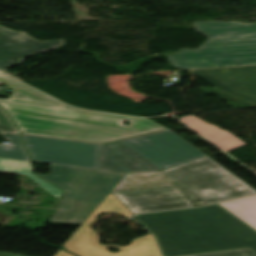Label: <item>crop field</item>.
<instances>
[{
  "label": "crop field",
  "mask_w": 256,
  "mask_h": 256,
  "mask_svg": "<svg viewBox=\"0 0 256 256\" xmlns=\"http://www.w3.org/2000/svg\"><path fill=\"white\" fill-rule=\"evenodd\" d=\"M180 120L226 152L245 145L229 132L221 130L214 125H209L194 116L180 118Z\"/></svg>",
  "instance_id": "obj_12"
},
{
  "label": "crop field",
  "mask_w": 256,
  "mask_h": 256,
  "mask_svg": "<svg viewBox=\"0 0 256 256\" xmlns=\"http://www.w3.org/2000/svg\"><path fill=\"white\" fill-rule=\"evenodd\" d=\"M63 45V40L40 42L24 33L0 27V70L5 71L24 62L25 58Z\"/></svg>",
  "instance_id": "obj_10"
},
{
  "label": "crop field",
  "mask_w": 256,
  "mask_h": 256,
  "mask_svg": "<svg viewBox=\"0 0 256 256\" xmlns=\"http://www.w3.org/2000/svg\"><path fill=\"white\" fill-rule=\"evenodd\" d=\"M0 256H22V255H15V254H8L0 252Z\"/></svg>",
  "instance_id": "obj_19"
},
{
  "label": "crop field",
  "mask_w": 256,
  "mask_h": 256,
  "mask_svg": "<svg viewBox=\"0 0 256 256\" xmlns=\"http://www.w3.org/2000/svg\"><path fill=\"white\" fill-rule=\"evenodd\" d=\"M54 256H73L65 251H63L61 248L58 250V252Z\"/></svg>",
  "instance_id": "obj_18"
},
{
  "label": "crop field",
  "mask_w": 256,
  "mask_h": 256,
  "mask_svg": "<svg viewBox=\"0 0 256 256\" xmlns=\"http://www.w3.org/2000/svg\"><path fill=\"white\" fill-rule=\"evenodd\" d=\"M98 169L123 172L160 170L120 141L102 145Z\"/></svg>",
  "instance_id": "obj_11"
},
{
  "label": "crop field",
  "mask_w": 256,
  "mask_h": 256,
  "mask_svg": "<svg viewBox=\"0 0 256 256\" xmlns=\"http://www.w3.org/2000/svg\"><path fill=\"white\" fill-rule=\"evenodd\" d=\"M0 82L14 89L0 106L12 117L21 134L104 143L167 128L148 119L73 110L0 73ZM129 121L130 125H123Z\"/></svg>",
  "instance_id": "obj_1"
},
{
  "label": "crop field",
  "mask_w": 256,
  "mask_h": 256,
  "mask_svg": "<svg viewBox=\"0 0 256 256\" xmlns=\"http://www.w3.org/2000/svg\"><path fill=\"white\" fill-rule=\"evenodd\" d=\"M22 137L33 161L98 167L101 145L26 135Z\"/></svg>",
  "instance_id": "obj_8"
},
{
  "label": "crop field",
  "mask_w": 256,
  "mask_h": 256,
  "mask_svg": "<svg viewBox=\"0 0 256 256\" xmlns=\"http://www.w3.org/2000/svg\"><path fill=\"white\" fill-rule=\"evenodd\" d=\"M10 142V145L0 144V157L30 161V158L22 144L20 135L1 133Z\"/></svg>",
  "instance_id": "obj_15"
},
{
  "label": "crop field",
  "mask_w": 256,
  "mask_h": 256,
  "mask_svg": "<svg viewBox=\"0 0 256 256\" xmlns=\"http://www.w3.org/2000/svg\"><path fill=\"white\" fill-rule=\"evenodd\" d=\"M126 174L51 164V175H38L66 194L50 222L82 224Z\"/></svg>",
  "instance_id": "obj_5"
},
{
  "label": "crop field",
  "mask_w": 256,
  "mask_h": 256,
  "mask_svg": "<svg viewBox=\"0 0 256 256\" xmlns=\"http://www.w3.org/2000/svg\"><path fill=\"white\" fill-rule=\"evenodd\" d=\"M191 256H256V253H254L250 249H243V250L225 251V252L199 254V255H191Z\"/></svg>",
  "instance_id": "obj_16"
},
{
  "label": "crop field",
  "mask_w": 256,
  "mask_h": 256,
  "mask_svg": "<svg viewBox=\"0 0 256 256\" xmlns=\"http://www.w3.org/2000/svg\"><path fill=\"white\" fill-rule=\"evenodd\" d=\"M122 142L161 170L206 156L171 130Z\"/></svg>",
  "instance_id": "obj_7"
},
{
  "label": "crop field",
  "mask_w": 256,
  "mask_h": 256,
  "mask_svg": "<svg viewBox=\"0 0 256 256\" xmlns=\"http://www.w3.org/2000/svg\"><path fill=\"white\" fill-rule=\"evenodd\" d=\"M103 212H114L125 218H129L131 215L110 192L79 229L65 242L63 247L78 256H160L150 233L147 236L134 239L130 245L125 247L100 245L99 234L92 230L91 226L96 223V217ZM108 246H113L120 252L112 253L107 250Z\"/></svg>",
  "instance_id": "obj_6"
},
{
  "label": "crop field",
  "mask_w": 256,
  "mask_h": 256,
  "mask_svg": "<svg viewBox=\"0 0 256 256\" xmlns=\"http://www.w3.org/2000/svg\"><path fill=\"white\" fill-rule=\"evenodd\" d=\"M196 31L210 39L199 49L180 50L167 56L180 69L256 63V24L195 22Z\"/></svg>",
  "instance_id": "obj_4"
},
{
  "label": "crop field",
  "mask_w": 256,
  "mask_h": 256,
  "mask_svg": "<svg viewBox=\"0 0 256 256\" xmlns=\"http://www.w3.org/2000/svg\"><path fill=\"white\" fill-rule=\"evenodd\" d=\"M31 171L32 167L30 162L0 158V173L26 175L58 200L62 191L33 175Z\"/></svg>",
  "instance_id": "obj_13"
},
{
  "label": "crop field",
  "mask_w": 256,
  "mask_h": 256,
  "mask_svg": "<svg viewBox=\"0 0 256 256\" xmlns=\"http://www.w3.org/2000/svg\"><path fill=\"white\" fill-rule=\"evenodd\" d=\"M219 204L256 230V195Z\"/></svg>",
  "instance_id": "obj_14"
},
{
  "label": "crop field",
  "mask_w": 256,
  "mask_h": 256,
  "mask_svg": "<svg viewBox=\"0 0 256 256\" xmlns=\"http://www.w3.org/2000/svg\"><path fill=\"white\" fill-rule=\"evenodd\" d=\"M181 186L113 194L132 214L203 206L256 193L208 156L162 171Z\"/></svg>",
  "instance_id": "obj_3"
},
{
  "label": "crop field",
  "mask_w": 256,
  "mask_h": 256,
  "mask_svg": "<svg viewBox=\"0 0 256 256\" xmlns=\"http://www.w3.org/2000/svg\"><path fill=\"white\" fill-rule=\"evenodd\" d=\"M192 72L215 88L256 105V66L196 70Z\"/></svg>",
  "instance_id": "obj_9"
},
{
  "label": "crop field",
  "mask_w": 256,
  "mask_h": 256,
  "mask_svg": "<svg viewBox=\"0 0 256 256\" xmlns=\"http://www.w3.org/2000/svg\"><path fill=\"white\" fill-rule=\"evenodd\" d=\"M135 217L156 236L164 256L243 248L256 252V232L217 204Z\"/></svg>",
  "instance_id": "obj_2"
},
{
  "label": "crop field",
  "mask_w": 256,
  "mask_h": 256,
  "mask_svg": "<svg viewBox=\"0 0 256 256\" xmlns=\"http://www.w3.org/2000/svg\"><path fill=\"white\" fill-rule=\"evenodd\" d=\"M0 131L16 132L19 133L10 117L0 107Z\"/></svg>",
  "instance_id": "obj_17"
}]
</instances>
